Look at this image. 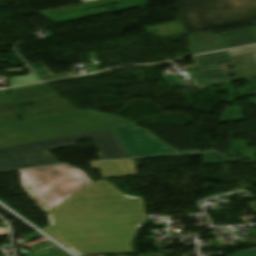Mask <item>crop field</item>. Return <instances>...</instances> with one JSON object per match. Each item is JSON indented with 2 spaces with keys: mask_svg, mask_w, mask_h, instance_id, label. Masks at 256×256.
<instances>
[{
  "mask_svg": "<svg viewBox=\"0 0 256 256\" xmlns=\"http://www.w3.org/2000/svg\"><path fill=\"white\" fill-rule=\"evenodd\" d=\"M46 214L51 226L41 229L79 256L134 253L131 243L147 223L143 198H129L105 180Z\"/></svg>",
  "mask_w": 256,
  "mask_h": 256,
  "instance_id": "obj_1",
  "label": "crop field"
},
{
  "mask_svg": "<svg viewBox=\"0 0 256 256\" xmlns=\"http://www.w3.org/2000/svg\"><path fill=\"white\" fill-rule=\"evenodd\" d=\"M88 137L100 151L102 160L131 158L111 129H108L0 149V171L56 164L58 161L49 151L74 147L78 141Z\"/></svg>",
  "mask_w": 256,
  "mask_h": 256,
  "instance_id": "obj_2",
  "label": "crop field"
},
{
  "mask_svg": "<svg viewBox=\"0 0 256 256\" xmlns=\"http://www.w3.org/2000/svg\"><path fill=\"white\" fill-rule=\"evenodd\" d=\"M70 119H74L73 121H76L78 124H80L88 131L108 127L114 128L132 124V122L130 121L120 119L114 116L106 115L91 110H85L61 116L14 123L10 125H3L0 126V134L61 122ZM73 121L24 130L0 136V148L88 132L82 129Z\"/></svg>",
  "mask_w": 256,
  "mask_h": 256,
  "instance_id": "obj_3",
  "label": "crop field"
},
{
  "mask_svg": "<svg viewBox=\"0 0 256 256\" xmlns=\"http://www.w3.org/2000/svg\"><path fill=\"white\" fill-rule=\"evenodd\" d=\"M20 172L22 186L45 213L92 183L84 173L68 165Z\"/></svg>",
  "mask_w": 256,
  "mask_h": 256,
  "instance_id": "obj_4",
  "label": "crop field"
},
{
  "mask_svg": "<svg viewBox=\"0 0 256 256\" xmlns=\"http://www.w3.org/2000/svg\"><path fill=\"white\" fill-rule=\"evenodd\" d=\"M113 131L116 133V135L132 157L190 153L177 152L169 148L167 145L163 144L160 140H158L155 136L151 135L147 131L138 128L135 125L115 128L113 129Z\"/></svg>",
  "mask_w": 256,
  "mask_h": 256,
  "instance_id": "obj_5",
  "label": "crop field"
},
{
  "mask_svg": "<svg viewBox=\"0 0 256 256\" xmlns=\"http://www.w3.org/2000/svg\"><path fill=\"white\" fill-rule=\"evenodd\" d=\"M242 79L256 76V54L232 59ZM252 66L251 68H249Z\"/></svg>",
  "mask_w": 256,
  "mask_h": 256,
  "instance_id": "obj_6",
  "label": "crop field"
},
{
  "mask_svg": "<svg viewBox=\"0 0 256 256\" xmlns=\"http://www.w3.org/2000/svg\"><path fill=\"white\" fill-rule=\"evenodd\" d=\"M17 107L16 103L0 106V125L16 122L17 115L23 117Z\"/></svg>",
  "mask_w": 256,
  "mask_h": 256,
  "instance_id": "obj_7",
  "label": "crop field"
},
{
  "mask_svg": "<svg viewBox=\"0 0 256 256\" xmlns=\"http://www.w3.org/2000/svg\"><path fill=\"white\" fill-rule=\"evenodd\" d=\"M27 69H28L30 75L12 78L10 87L22 85V84L33 83V82H38L34 73L28 67H27Z\"/></svg>",
  "mask_w": 256,
  "mask_h": 256,
  "instance_id": "obj_8",
  "label": "crop field"
},
{
  "mask_svg": "<svg viewBox=\"0 0 256 256\" xmlns=\"http://www.w3.org/2000/svg\"><path fill=\"white\" fill-rule=\"evenodd\" d=\"M227 52L230 55V57L236 56V55L254 53V52H256V46L240 48V49H235V50H229Z\"/></svg>",
  "mask_w": 256,
  "mask_h": 256,
  "instance_id": "obj_9",
  "label": "crop field"
},
{
  "mask_svg": "<svg viewBox=\"0 0 256 256\" xmlns=\"http://www.w3.org/2000/svg\"><path fill=\"white\" fill-rule=\"evenodd\" d=\"M227 256H256V249L248 250V251H243Z\"/></svg>",
  "mask_w": 256,
  "mask_h": 256,
  "instance_id": "obj_10",
  "label": "crop field"
},
{
  "mask_svg": "<svg viewBox=\"0 0 256 256\" xmlns=\"http://www.w3.org/2000/svg\"><path fill=\"white\" fill-rule=\"evenodd\" d=\"M14 101L12 100V98L10 96H3L0 93V105L3 104H8V103H13Z\"/></svg>",
  "mask_w": 256,
  "mask_h": 256,
  "instance_id": "obj_11",
  "label": "crop field"
},
{
  "mask_svg": "<svg viewBox=\"0 0 256 256\" xmlns=\"http://www.w3.org/2000/svg\"><path fill=\"white\" fill-rule=\"evenodd\" d=\"M8 235V228H0V236Z\"/></svg>",
  "mask_w": 256,
  "mask_h": 256,
  "instance_id": "obj_12",
  "label": "crop field"
},
{
  "mask_svg": "<svg viewBox=\"0 0 256 256\" xmlns=\"http://www.w3.org/2000/svg\"><path fill=\"white\" fill-rule=\"evenodd\" d=\"M84 3H87V2H92V1H97V0H82Z\"/></svg>",
  "mask_w": 256,
  "mask_h": 256,
  "instance_id": "obj_13",
  "label": "crop field"
}]
</instances>
